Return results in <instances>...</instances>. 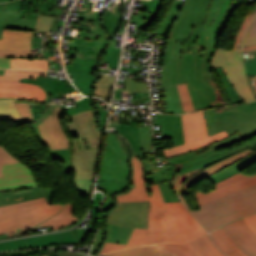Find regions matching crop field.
Masks as SVG:
<instances>
[{"mask_svg": "<svg viewBox=\"0 0 256 256\" xmlns=\"http://www.w3.org/2000/svg\"><path fill=\"white\" fill-rule=\"evenodd\" d=\"M205 118L209 136L224 130L229 135L238 131L244 140L256 134V101L206 110Z\"/></svg>", "mask_w": 256, "mask_h": 256, "instance_id": "4", "label": "crop field"}, {"mask_svg": "<svg viewBox=\"0 0 256 256\" xmlns=\"http://www.w3.org/2000/svg\"><path fill=\"white\" fill-rule=\"evenodd\" d=\"M148 212V202L117 203V206L109 213L106 222L147 228Z\"/></svg>", "mask_w": 256, "mask_h": 256, "instance_id": "14", "label": "crop field"}, {"mask_svg": "<svg viewBox=\"0 0 256 256\" xmlns=\"http://www.w3.org/2000/svg\"><path fill=\"white\" fill-rule=\"evenodd\" d=\"M130 172V164L127 162L116 135L108 133L100 168V181L110 179L130 180Z\"/></svg>", "mask_w": 256, "mask_h": 256, "instance_id": "12", "label": "crop field"}, {"mask_svg": "<svg viewBox=\"0 0 256 256\" xmlns=\"http://www.w3.org/2000/svg\"><path fill=\"white\" fill-rule=\"evenodd\" d=\"M31 37H34V32L4 29L0 49L31 48Z\"/></svg>", "mask_w": 256, "mask_h": 256, "instance_id": "27", "label": "crop field"}, {"mask_svg": "<svg viewBox=\"0 0 256 256\" xmlns=\"http://www.w3.org/2000/svg\"><path fill=\"white\" fill-rule=\"evenodd\" d=\"M214 242L219 247L220 250H222L224 253H229L233 250H235L231 244L224 238V236L217 230L213 233H211Z\"/></svg>", "mask_w": 256, "mask_h": 256, "instance_id": "42", "label": "crop field"}, {"mask_svg": "<svg viewBox=\"0 0 256 256\" xmlns=\"http://www.w3.org/2000/svg\"><path fill=\"white\" fill-rule=\"evenodd\" d=\"M224 236L225 238L233 245V247L236 249L235 251L227 254L229 256H247L243 251H241L233 242L232 240L226 235V233L222 230V228L218 229Z\"/></svg>", "mask_w": 256, "mask_h": 256, "instance_id": "53", "label": "crop field"}, {"mask_svg": "<svg viewBox=\"0 0 256 256\" xmlns=\"http://www.w3.org/2000/svg\"><path fill=\"white\" fill-rule=\"evenodd\" d=\"M248 51H256V49L246 50V51H243V52H248Z\"/></svg>", "mask_w": 256, "mask_h": 256, "instance_id": "68", "label": "crop field"}, {"mask_svg": "<svg viewBox=\"0 0 256 256\" xmlns=\"http://www.w3.org/2000/svg\"><path fill=\"white\" fill-rule=\"evenodd\" d=\"M131 158L133 169L131 187L127 194L115 196L117 202L149 201L148 229L135 228L127 247L153 242H186L200 237L207 232L195 217L185 208L182 202L164 203L158 185L150 186L152 198L145 189V173L138 157Z\"/></svg>", "mask_w": 256, "mask_h": 256, "instance_id": "2", "label": "crop field"}, {"mask_svg": "<svg viewBox=\"0 0 256 256\" xmlns=\"http://www.w3.org/2000/svg\"><path fill=\"white\" fill-rule=\"evenodd\" d=\"M96 111H97V110H96ZM107 112H108V111H97V113L100 114V121H99V123H100V128H101V130L104 129L105 119H106Z\"/></svg>", "mask_w": 256, "mask_h": 256, "instance_id": "61", "label": "crop field"}, {"mask_svg": "<svg viewBox=\"0 0 256 256\" xmlns=\"http://www.w3.org/2000/svg\"><path fill=\"white\" fill-rule=\"evenodd\" d=\"M98 59L81 58L75 56L72 65H66L67 73L70 72L77 88L86 95L92 94V85L97 77L92 76V72Z\"/></svg>", "mask_w": 256, "mask_h": 256, "instance_id": "20", "label": "crop field"}, {"mask_svg": "<svg viewBox=\"0 0 256 256\" xmlns=\"http://www.w3.org/2000/svg\"><path fill=\"white\" fill-rule=\"evenodd\" d=\"M79 112L83 110L93 109L91 104V97H86L82 100L77 101Z\"/></svg>", "mask_w": 256, "mask_h": 256, "instance_id": "52", "label": "crop field"}, {"mask_svg": "<svg viewBox=\"0 0 256 256\" xmlns=\"http://www.w3.org/2000/svg\"><path fill=\"white\" fill-rule=\"evenodd\" d=\"M140 142L143 154L152 153V131L151 126H139Z\"/></svg>", "mask_w": 256, "mask_h": 256, "instance_id": "38", "label": "crop field"}, {"mask_svg": "<svg viewBox=\"0 0 256 256\" xmlns=\"http://www.w3.org/2000/svg\"><path fill=\"white\" fill-rule=\"evenodd\" d=\"M44 256H48V255H44Z\"/></svg>", "mask_w": 256, "mask_h": 256, "instance_id": "71", "label": "crop field"}, {"mask_svg": "<svg viewBox=\"0 0 256 256\" xmlns=\"http://www.w3.org/2000/svg\"><path fill=\"white\" fill-rule=\"evenodd\" d=\"M10 68L38 69L48 71L47 60H33L30 58H11Z\"/></svg>", "mask_w": 256, "mask_h": 256, "instance_id": "34", "label": "crop field"}, {"mask_svg": "<svg viewBox=\"0 0 256 256\" xmlns=\"http://www.w3.org/2000/svg\"><path fill=\"white\" fill-rule=\"evenodd\" d=\"M30 55H31V49L0 51V57H30Z\"/></svg>", "mask_w": 256, "mask_h": 256, "instance_id": "48", "label": "crop field"}, {"mask_svg": "<svg viewBox=\"0 0 256 256\" xmlns=\"http://www.w3.org/2000/svg\"><path fill=\"white\" fill-rule=\"evenodd\" d=\"M64 205H49L46 198L0 207V234L21 228L22 230L48 219L63 209Z\"/></svg>", "mask_w": 256, "mask_h": 256, "instance_id": "5", "label": "crop field"}, {"mask_svg": "<svg viewBox=\"0 0 256 256\" xmlns=\"http://www.w3.org/2000/svg\"><path fill=\"white\" fill-rule=\"evenodd\" d=\"M157 18L158 13L143 10L142 16L132 15L130 22L138 23L139 27L148 28Z\"/></svg>", "mask_w": 256, "mask_h": 256, "instance_id": "39", "label": "crop field"}, {"mask_svg": "<svg viewBox=\"0 0 256 256\" xmlns=\"http://www.w3.org/2000/svg\"><path fill=\"white\" fill-rule=\"evenodd\" d=\"M10 58H0V68H9Z\"/></svg>", "mask_w": 256, "mask_h": 256, "instance_id": "63", "label": "crop field"}, {"mask_svg": "<svg viewBox=\"0 0 256 256\" xmlns=\"http://www.w3.org/2000/svg\"><path fill=\"white\" fill-rule=\"evenodd\" d=\"M255 78H256V76H255Z\"/></svg>", "mask_w": 256, "mask_h": 256, "instance_id": "72", "label": "crop field"}, {"mask_svg": "<svg viewBox=\"0 0 256 256\" xmlns=\"http://www.w3.org/2000/svg\"><path fill=\"white\" fill-rule=\"evenodd\" d=\"M5 1H9V0H0V3H1V2H5Z\"/></svg>", "mask_w": 256, "mask_h": 256, "instance_id": "70", "label": "crop field"}, {"mask_svg": "<svg viewBox=\"0 0 256 256\" xmlns=\"http://www.w3.org/2000/svg\"><path fill=\"white\" fill-rule=\"evenodd\" d=\"M244 221L256 233V214L244 218Z\"/></svg>", "mask_w": 256, "mask_h": 256, "instance_id": "58", "label": "crop field"}, {"mask_svg": "<svg viewBox=\"0 0 256 256\" xmlns=\"http://www.w3.org/2000/svg\"><path fill=\"white\" fill-rule=\"evenodd\" d=\"M38 251H55L54 249H35V250H24V251H12V252H6V253H0V256L3 254H30V253H36Z\"/></svg>", "mask_w": 256, "mask_h": 256, "instance_id": "55", "label": "crop field"}, {"mask_svg": "<svg viewBox=\"0 0 256 256\" xmlns=\"http://www.w3.org/2000/svg\"><path fill=\"white\" fill-rule=\"evenodd\" d=\"M120 50L118 48H111L108 47L103 55V60L104 62L109 63L108 66L112 67V68H116L117 67V63H118V58H119V54H120Z\"/></svg>", "mask_w": 256, "mask_h": 256, "instance_id": "41", "label": "crop field"}, {"mask_svg": "<svg viewBox=\"0 0 256 256\" xmlns=\"http://www.w3.org/2000/svg\"><path fill=\"white\" fill-rule=\"evenodd\" d=\"M6 4H0V39H2Z\"/></svg>", "mask_w": 256, "mask_h": 256, "instance_id": "56", "label": "crop field"}, {"mask_svg": "<svg viewBox=\"0 0 256 256\" xmlns=\"http://www.w3.org/2000/svg\"><path fill=\"white\" fill-rule=\"evenodd\" d=\"M234 0H175L156 34H168L161 85L165 86L166 114L182 110L177 84H188L194 109L226 105L211 72L216 39L237 8Z\"/></svg>", "mask_w": 256, "mask_h": 256, "instance_id": "1", "label": "crop field"}, {"mask_svg": "<svg viewBox=\"0 0 256 256\" xmlns=\"http://www.w3.org/2000/svg\"><path fill=\"white\" fill-rule=\"evenodd\" d=\"M45 96V92L37 85L0 81V99H31L42 102Z\"/></svg>", "mask_w": 256, "mask_h": 256, "instance_id": "22", "label": "crop field"}, {"mask_svg": "<svg viewBox=\"0 0 256 256\" xmlns=\"http://www.w3.org/2000/svg\"><path fill=\"white\" fill-rule=\"evenodd\" d=\"M103 256H225L214 245L209 234L188 244H150L131 247Z\"/></svg>", "mask_w": 256, "mask_h": 256, "instance_id": "7", "label": "crop field"}, {"mask_svg": "<svg viewBox=\"0 0 256 256\" xmlns=\"http://www.w3.org/2000/svg\"><path fill=\"white\" fill-rule=\"evenodd\" d=\"M24 123L34 122L42 116L47 104L34 101H14Z\"/></svg>", "mask_w": 256, "mask_h": 256, "instance_id": "29", "label": "crop field"}, {"mask_svg": "<svg viewBox=\"0 0 256 256\" xmlns=\"http://www.w3.org/2000/svg\"><path fill=\"white\" fill-rule=\"evenodd\" d=\"M123 247H125V245L123 244H114V243L105 242L104 245L101 247L99 253L108 252V251L116 250Z\"/></svg>", "mask_w": 256, "mask_h": 256, "instance_id": "54", "label": "crop field"}, {"mask_svg": "<svg viewBox=\"0 0 256 256\" xmlns=\"http://www.w3.org/2000/svg\"><path fill=\"white\" fill-rule=\"evenodd\" d=\"M103 237H104V229H100V231L98 233V236L96 238L95 244L93 246V249L91 251L92 255H94V253L96 252L97 248L101 245Z\"/></svg>", "mask_w": 256, "mask_h": 256, "instance_id": "57", "label": "crop field"}, {"mask_svg": "<svg viewBox=\"0 0 256 256\" xmlns=\"http://www.w3.org/2000/svg\"><path fill=\"white\" fill-rule=\"evenodd\" d=\"M178 91L180 94L184 111L186 112L194 111L187 84L178 85Z\"/></svg>", "mask_w": 256, "mask_h": 256, "instance_id": "40", "label": "crop field"}, {"mask_svg": "<svg viewBox=\"0 0 256 256\" xmlns=\"http://www.w3.org/2000/svg\"><path fill=\"white\" fill-rule=\"evenodd\" d=\"M255 35H256V18H255V21H254L250 31L247 33L246 37L255 36Z\"/></svg>", "mask_w": 256, "mask_h": 256, "instance_id": "64", "label": "crop field"}, {"mask_svg": "<svg viewBox=\"0 0 256 256\" xmlns=\"http://www.w3.org/2000/svg\"><path fill=\"white\" fill-rule=\"evenodd\" d=\"M242 44L235 43L233 51L217 49L211 59V67L222 66L223 70L244 102L255 100L243 66Z\"/></svg>", "mask_w": 256, "mask_h": 256, "instance_id": "9", "label": "crop field"}, {"mask_svg": "<svg viewBox=\"0 0 256 256\" xmlns=\"http://www.w3.org/2000/svg\"><path fill=\"white\" fill-rule=\"evenodd\" d=\"M146 159H142L144 165L146 179L153 185L158 183L165 202H176L180 201L174 194L171 187V181L174 178L177 168L169 165L158 170L155 169L152 163L158 162L153 154L144 155Z\"/></svg>", "mask_w": 256, "mask_h": 256, "instance_id": "15", "label": "crop field"}, {"mask_svg": "<svg viewBox=\"0 0 256 256\" xmlns=\"http://www.w3.org/2000/svg\"><path fill=\"white\" fill-rule=\"evenodd\" d=\"M77 218L73 216V205L72 204H66V207L57 215L53 216L52 218L38 224L37 227H43V226H49L52 225L54 230H57L59 228L69 226L75 222H77Z\"/></svg>", "mask_w": 256, "mask_h": 256, "instance_id": "30", "label": "crop field"}, {"mask_svg": "<svg viewBox=\"0 0 256 256\" xmlns=\"http://www.w3.org/2000/svg\"><path fill=\"white\" fill-rule=\"evenodd\" d=\"M0 74H4V70H0Z\"/></svg>", "mask_w": 256, "mask_h": 256, "instance_id": "69", "label": "crop field"}, {"mask_svg": "<svg viewBox=\"0 0 256 256\" xmlns=\"http://www.w3.org/2000/svg\"><path fill=\"white\" fill-rule=\"evenodd\" d=\"M2 171L3 178H0V191L38 186L30 169L21 162L4 165Z\"/></svg>", "mask_w": 256, "mask_h": 256, "instance_id": "17", "label": "crop field"}, {"mask_svg": "<svg viewBox=\"0 0 256 256\" xmlns=\"http://www.w3.org/2000/svg\"><path fill=\"white\" fill-rule=\"evenodd\" d=\"M215 187L216 190L208 194L196 192L201 209L195 212L182 194L178 195L208 232L256 212V175L243 177L237 173Z\"/></svg>", "mask_w": 256, "mask_h": 256, "instance_id": "3", "label": "crop field"}, {"mask_svg": "<svg viewBox=\"0 0 256 256\" xmlns=\"http://www.w3.org/2000/svg\"><path fill=\"white\" fill-rule=\"evenodd\" d=\"M22 81L40 85L47 95L43 101L44 103H47L46 100L50 98H68L69 101L81 98V95L73 88L68 79L53 80L38 76L37 80L23 79ZM61 94H63V97H61Z\"/></svg>", "mask_w": 256, "mask_h": 256, "instance_id": "23", "label": "crop field"}, {"mask_svg": "<svg viewBox=\"0 0 256 256\" xmlns=\"http://www.w3.org/2000/svg\"><path fill=\"white\" fill-rule=\"evenodd\" d=\"M60 105H49L44 116L30 124L38 140L48 148L51 159L65 162V171L70 168V142L60 123Z\"/></svg>", "mask_w": 256, "mask_h": 256, "instance_id": "6", "label": "crop field"}, {"mask_svg": "<svg viewBox=\"0 0 256 256\" xmlns=\"http://www.w3.org/2000/svg\"><path fill=\"white\" fill-rule=\"evenodd\" d=\"M7 237H8L7 233L4 234V235H0V239H4V238H7Z\"/></svg>", "mask_w": 256, "mask_h": 256, "instance_id": "67", "label": "crop field"}, {"mask_svg": "<svg viewBox=\"0 0 256 256\" xmlns=\"http://www.w3.org/2000/svg\"><path fill=\"white\" fill-rule=\"evenodd\" d=\"M233 242L249 256H256V234L245 224L243 219L223 226Z\"/></svg>", "mask_w": 256, "mask_h": 256, "instance_id": "21", "label": "crop field"}, {"mask_svg": "<svg viewBox=\"0 0 256 256\" xmlns=\"http://www.w3.org/2000/svg\"><path fill=\"white\" fill-rule=\"evenodd\" d=\"M254 153L253 151H251L249 148L230 157L227 158L215 165H212L208 168H201V169H197V170H193L189 173L183 174V175H179L175 180H174V187H175V191L177 194H181L183 193L191 184L195 183L196 181L211 175L243 158H245L246 156L250 155Z\"/></svg>", "mask_w": 256, "mask_h": 256, "instance_id": "16", "label": "crop field"}, {"mask_svg": "<svg viewBox=\"0 0 256 256\" xmlns=\"http://www.w3.org/2000/svg\"><path fill=\"white\" fill-rule=\"evenodd\" d=\"M91 7H92V6H90V5L83 4V6L80 8L79 11L85 13V12L89 11V10L91 9Z\"/></svg>", "mask_w": 256, "mask_h": 256, "instance_id": "66", "label": "crop field"}, {"mask_svg": "<svg viewBox=\"0 0 256 256\" xmlns=\"http://www.w3.org/2000/svg\"><path fill=\"white\" fill-rule=\"evenodd\" d=\"M62 243H80V241L71 231H66L56 234L35 236L3 242L0 243V251L9 249L36 248Z\"/></svg>", "mask_w": 256, "mask_h": 256, "instance_id": "18", "label": "crop field"}, {"mask_svg": "<svg viewBox=\"0 0 256 256\" xmlns=\"http://www.w3.org/2000/svg\"><path fill=\"white\" fill-rule=\"evenodd\" d=\"M0 120H22L13 101H0Z\"/></svg>", "mask_w": 256, "mask_h": 256, "instance_id": "37", "label": "crop field"}, {"mask_svg": "<svg viewBox=\"0 0 256 256\" xmlns=\"http://www.w3.org/2000/svg\"><path fill=\"white\" fill-rule=\"evenodd\" d=\"M114 79L112 76H101L95 87H113Z\"/></svg>", "mask_w": 256, "mask_h": 256, "instance_id": "50", "label": "crop field"}, {"mask_svg": "<svg viewBox=\"0 0 256 256\" xmlns=\"http://www.w3.org/2000/svg\"><path fill=\"white\" fill-rule=\"evenodd\" d=\"M37 21L21 19L20 13L6 12L4 28L35 31Z\"/></svg>", "mask_w": 256, "mask_h": 256, "instance_id": "32", "label": "crop field"}, {"mask_svg": "<svg viewBox=\"0 0 256 256\" xmlns=\"http://www.w3.org/2000/svg\"><path fill=\"white\" fill-rule=\"evenodd\" d=\"M248 147L250 149H252L255 153L246 157L245 159L235 163L234 165L212 175V176L206 177L215 184L219 181H222V180L236 174L237 172L241 171L242 169H244L245 167L249 166L250 164H252L253 162L256 161V139L245 144V145L238 146V147L226 150L224 152L214 154V155L204 158L202 160H199V161L187 164V165L180 166L179 174H183V173H186L193 169L201 168L203 166L208 167V166L215 164L229 156H232ZM181 168H182V170H181Z\"/></svg>", "mask_w": 256, "mask_h": 256, "instance_id": "11", "label": "crop field"}, {"mask_svg": "<svg viewBox=\"0 0 256 256\" xmlns=\"http://www.w3.org/2000/svg\"><path fill=\"white\" fill-rule=\"evenodd\" d=\"M126 89L131 92L149 91L148 83H134L133 78H125Z\"/></svg>", "mask_w": 256, "mask_h": 256, "instance_id": "45", "label": "crop field"}, {"mask_svg": "<svg viewBox=\"0 0 256 256\" xmlns=\"http://www.w3.org/2000/svg\"><path fill=\"white\" fill-rule=\"evenodd\" d=\"M243 54L246 74L256 75V52H248Z\"/></svg>", "mask_w": 256, "mask_h": 256, "instance_id": "43", "label": "crop field"}, {"mask_svg": "<svg viewBox=\"0 0 256 256\" xmlns=\"http://www.w3.org/2000/svg\"><path fill=\"white\" fill-rule=\"evenodd\" d=\"M94 179L75 180L76 188L80 194H91Z\"/></svg>", "mask_w": 256, "mask_h": 256, "instance_id": "46", "label": "crop field"}, {"mask_svg": "<svg viewBox=\"0 0 256 256\" xmlns=\"http://www.w3.org/2000/svg\"><path fill=\"white\" fill-rule=\"evenodd\" d=\"M19 162L12 154H10L2 145H0V177H2L1 165Z\"/></svg>", "mask_w": 256, "mask_h": 256, "instance_id": "47", "label": "crop field"}, {"mask_svg": "<svg viewBox=\"0 0 256 256\" xmlns=\"http://www.w3.org/2000/svg\"><path fill=\"white\" fill-rule=\"evenodd\" d=\"M129 186H131L129 181L117 182L116 180H111L99 182L98 188L107 194V201L103 211H107L114 206V199L111 197L112 195L127 191Z\"/></svg>", "mask_w": 256, "mask_h": 256, "instance_id": "31", "label": "crop field"}, {"mask_svg": "<svg viewBox=\"0 0 256 256\" xmlns=\"http://www.w3.org/2000/svg\"><path fill=\"white\" fill-rule=\"evenodd\" d=\"M101 201H102V195L100 193H97L94 198V204H93V208H92V212H91L94 215V219L92 222L93 224L96 223L97 211H99V206H100Z\"/></svg>", "mask_w": 256, "mask_h": 256, "instance_id": "51", "label": "crop field"}, {"mask_svg": "<svg viewBox=\"0 0 256 256\" xmlns=\"http://www.w3.org/2000/svg\"><path fill=\"white\" fill-rule=\"evenodd\" d=\"M119 9L120 7L117 6H114L113 9L108 8L107 13L104 16L103 26L107 33L110 35V38L115 35V33H117L121 23V15ZM101 14L102 12L90 11L86 14H83L82 18L80 19V24H73V28L75 29L85 30L100 35V37H98L95 41L94 48L85 46L78 47L77 52L85 53L84 57L99 58L102 50L108 45L107 37L99 25V17Z\"/></svg>", "mask_w": 256, "mask_h": 256, "instance_id": "8", "label": "crop field"}, {"mask_svg": "<svg viewBox=\"0 0 256 256\" xmlns=\"http://www.w3.org/2000/svg\"><path fill=\"white\" fill-rule=\"evenodd\" d=\"M142 1L145 2L144 8H143L144 10H151V11L158 12L163 0H150V1L142 0Z\"/></svg>", "mask_w": 256, "mask_h": 256, "instance_id": "49", "label": "crop field"}, {"mask_svg": "<svg viewBox=\"0 0 256 256\" xmlns=\"http://www.w3.org/2000/svg\"><path fill=\"white\" fill-rule=\"evenodd\" d=\"M72 168L75 179L94 178L100 148L80 151L77 137L72 138Z\"/></svg>", "mask_w": 256, "mask_h": 256, "instance_id": "19", "label": "crop field"}, {"mask_svg": "<svg viewBox=\"0 0 256 256\" xmlns=\"http://www.w3.org/2000/svg\"><path fill=\"white\" fill-rule=\"evenodd\" d=\"M54 0H24L20 13L22 18L37 20V14L47 15Z\"/></svg>", "mask_w": 256, "mask_h": 256, "instance_id": "28", "label": "crop field"}, {"mask_svg": "<svg viewBox=\"0 0 256 256\" xmlns=\"http://www.w3.org/2000/svg\"><path fill=\"white\" fill-rule=\"evenodd\" d=\"M57 256H85V255L69 253V252H60V253H57Z\"/></svg>", "mask_w": 256, "mask_h": 256, "instance_id": "65", "label": "crop field"}, {"mask_svg": "<svg viewBox=\"0 0 256 256\" xmlns=\"http://www.w3.org/2000/svg\"><path fill=\"white\" fill-rule=\"evenodd\" d=\"M54 192L55 190H52V189L42 190L39 187L26 189V190L0 192V206L21 202L20 200L26 201V200H30V199H34L42 196H45L49 204H52Z\"/></svg>", "mask_w": 256, "mask_h": 256, "instance_id": "25", "label": "crop field"}, {"mask_svg": "<svg viewBox=\"0 0 256 256\" xmlns=\"http://www.w3.org/2000/svg\"><path fill=\"white\" fill-rule=\"evenodd\" d=\"M216 72L218 73L222 86L227 94V96L231 99L232 104H239L243 103V100L239 97L236 90L233 88V86L230 84L228 79L226 78L223 70L221 67L215 68Z\"/></svg>", "mask_w": 256, "mask_h": 256, "instance_id": "36", "label": "crop field"}, {"mask_svg": "<svg viewBox=\"0 0 256 256\" xmlns=\"http://www.w3.org/2000/svg\"><path fill=\"white\" fill-rule=\"evenodd\" d=\"M42 38H32V48H41Z\"/></svg>", "mask_w": 256, "mask_h": 256, "instance_id": "62", "label": "crop field"}, {"mask_svg": "<svg viewBox=\"0 0 256 256\" xmlns=\"http://www.w3.org/2000/svg\"><path fill=\"white\" fill-rule=\"evenodd\" d=\"M132 228L107 223L106 241L126 244Z\"/></svg>", "mask_w": 256, "mask_h": 256, "instance_id": "33", "label": "crop field"}, {"mask_svg": "<svg viewBox=\"0 0 256 256\" xmlns=\"http://www.w3.org/2000/svg\"><path fill=\"white\" fill-rule=\"evenodd\" d=\"M158 124H162V139L172 138L173 146L185 143L181 115L157 114L155 125Z\"/></svg>", "mask_w": 256, "mask_h": 256, "instance_id": "26", "label": "crop field"}, {"mask_svg": "<svg viewBox=\"0 0 256 256\" xmlns=\"http://www.w3.org/2000/svg\"><path fill=\"white\" fill-rule=\"evenodd\" d=\"M256 48V36L246 38L244 42L243 50Z\"/></svg>", "mask_w": 256, "mask_h": 256, "instance_id": "60", "label": "crop field"}, {"mask_svg": "<svg viewBox=\"0 0 256 256\" xmlns=\"http://www.w3.org/2000/svg\"><path fill=\"white\" fill-rule=\"evenodd\" d=\"M70 121L63 124L69 137L78 136L81 150L85 149L82 137H86L90 148L101 146L103 133L98 131L93 110L70 115Z\"/></svg>", "mask_w": 256, "mask_h": 256, "instance_id": "13", "label": "crop field"}, {"mask_svg": "<svg viewBox=\"0 0 256 256\" xmlns=\"http://www.w3.org/2000/svg\"><path fill=\"white\" fill-rule=\"evenodd\" d=\"M47 72H37V71H25V70H5L4 75H0V80H12L21 81L22 78H34L37 75L45 76Z\"/></svg>", "mask_w": 256, "mask_h": 256, "instance_id": "35", "label": "crop field"}, {"mask_svg": "<svg viewBox=\"0 0 256 256\" xmlns=\"http://www.w3.org/2000/svg\"><path fill=\"white\" fill-rule=\"evenodd\" d=\"M240 137L238 135V133L233 134L232 136L225 138L217 143L211 144L209 146L200 148L198 150H195L193 152L190 153H186V154H182L179 156H175V157H171V158H167L169 161L173 162L174 164L180 166L183 164H187L199 159H202L204 157H207L209 155H212L214 153H217L215 150L224 147V146H228L231 145L237 141H240Z\"/></svg>", "mask_w": 256, "mask_h": 256, "instance_id": "24", "label": "crop field"}, {"mask_svg": "<svg viewBox=\"0 0 256 256\" xmlns=\"http://www.w3.org/2000/svg\"><path fill=\"white\" fill-rule=\"evenodd\" d=\"M182 118L186 144L163 150L167 157L193 151L228 136L224 131L208 137L204 111L183 114Z\"/></svg>", "mask_w": 256, "mask_h": 256, "instance_id": "10", "label": "crop field"}, {"mask_svg": "<svg viewBox=\"0 0 256 256\" xmlns=\"http://www.w3.org/2000/svg\"><path fill=\"white\" fill-rule=\"evenodd\" d=\"M256 15V12L252 13L251 15H249L242 23L238 33H237V37L235 39V42H240L242 43L254 17Z\"/></svg>", "mask_w": 256, "mask_h": 256, "instance_id": "44", "label": "crop field"}, {"mask_svg": "<svg viewBox=\"0 0 256 256\" xmlns=\"http://www.w3.org/2000/svg\"><path fill=\"white\" fill-rule=\"evenodd\" d=\"M22 0L7 3L6 11L18 12Z\"/></svg>", "mask_w": 256, "mask_h": 256, "instance_id": "59", "label": "crop field"}]
</instances>
